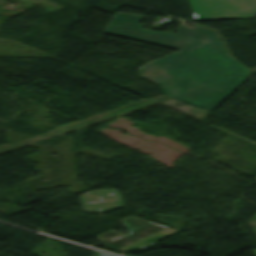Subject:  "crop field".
Instances as JSON below:
<instances>
[{
  "label": "crop field",
  "instance_id": "1",
  "mask_svg": "<svg viewBox=\"0 0 256 256\" xmlns=\"http://www.w3.org/2000/svg\"><path fill=\"white\" fill-rule=\"evenodd\" d=\"M142 16L116 13L105 33L141 40L180 50L156 61L176 65L174 72L196 78L195 82L168 78L148 63L137 69L139 77L159 85L164 95L190 105L213 110L236 89L231 59L216 33L180 23L176 33L143 30Z\"/></svg>",
  "mask_w": 256,
  "mask_h": 256
},
{
  "label": "crop field",
  "instance_id": "2",
  "mask_svg": "<svg viewBox=\"0 0 256 256\" xmlns=\"http://www.w3.org/2000/svg\"><path fill=\"white\" fill-rule=\"evenodd\" d=\"M196 20L251 18L256 0H189Z\"/></svg>",
  "mask_w": 256,
  "mask_h": 256
},
{
  "label": "crop field",
  "instance_id": "3",
  "mask_svg": "<svg viewBox=\"0 0 256 256\" xmlns=\"http://www.w3.org/2000/svg\"><path fill=\"white\" fill-rule=\"evenodd\" d=\"M122 223L128 229L130 233L114 238L107 242L101 243L100 245H106L111 248H120L167 228L136 216L130 215L126 218L121 219Z\"/></svg>",
  "mask_w": 256,
  "mask_h": 256
},
{
  "label": "crop field",
  "instance_id": "4",
  "mask_svg": "<svg viewBox=\"0 0 256 256\" xmlns=\"http://www.w3.org/2000/svg\"><path fill=\"white\" fill-rule=\"evenodd\" d=\"M88 195H93L94 197H83ZM79 198L82 204L83 211L86 213L105 212L115 208L123 207L120 195L113 189L87 192L80 195ZM89 198L97 199L89 200ZM108 199L117 200L101 202V200ZM91 206H98V208H85Z\"/></svg>",
  "mask_w": 256,
  "mask_h": 256
},
{
  "label": "crop field",
  "instance_id": "5",
  "mask_svg": "<svg viewBox=\"0 0 256 256\" xmlns=\"http://www.w3.org/2000/svg\"><path fill=\"white\" fill-rule=\"evenodd\" d=\"M226 57L232 58V72L237 75V87L247 79L253 72L234 59L229 54L225 55Z\"/></svg>",
  "mask_w": 256,
  "mask_h": 256
},
{
  "label": "crop field",
  "instance_id": "6",
  "mask_svg": "<svg viewBox=\"0 0 256 256\" xmlns=\"http://www.w3.org/2000/svg\"><path fill=\"white\" fill-rule=\"evenodd\" d=\"M153 67H155L158 71H160L162 74L168 77H174V78H180V79H186V80H192L194 81V78L187 77L181 74H177L172 72L174 66L169 64H164L156 61L149 62Z\"/></svg>",
  "mask_w": 256,
  "mask_h": 256
},
{
  "label": "crop field",
  "instance_id": "7",
  "mask_svg": "<svg viewBox=\"0 0 256 256\" xmlns=\"http://www.w3.org/2000/svg\"><path fill=\"white\" fill-rule=\"evenodd\" d=\"M115 235H119V233L108 230V231L103 232L101 234L95 235V237H97L100 240V242H102V241H104L108 238H111V237L115 236Z\"/></svg>",
  "mask_w": 256,
  "mask_h": 256
},
{
  "label": "crop field",
  "instance_id": "8",
  "mask_svg": "<svg viewBox=\"0 0 256 256\" xmlns=\"http://www.w3.org/2000/svg\"><path fill=\"white\" fill-rule=\"evenodd\" d=\"M251 226L253 227L254 231L256 232V215L249 220Z\"/></svg>",
  "mask_w": 256,
  "mask_h": 256
},
{
  "label": "crop field",
  "instance_id": "9",
  "mask_svg": "<svg viewBox=\"0 0 256 256\" xmlns=\"http://www.w3.org/2000/svg\"><path fill=\"white\" fill-rule=\"evenodd\" d=\"M93 256H113V255L97 251Z\"/></svg>",
  "mask_w": 256,
  "mask_h": 256
},
{
  "label": "crop field",
  "instance_id": "10",
  "mask_svg": "<svg viewBox=\"0 0 256 256\" xmlns=\"http://www.w3.org/2000/svg\"><path fill=\"white\" fill-rule=\"evenodd\" d=\"M254 253L256 254V249H253Z\"/></svg>",
  "mask_w": 256,
  "mask_h": 256
}]
</instances>
